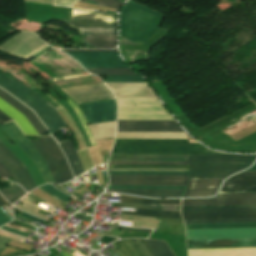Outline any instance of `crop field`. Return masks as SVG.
<instances>
[{
    "instance_id": "1",
    "label": "crop field",
    "mask_w": 256,
    "mask_h": 256,
    "mask_svg": "<svg viewBox=\"0 0 256 256\" xmlns=\"http://www.w3.org/2000/svg\"><path fill=\"white\" fill-rule=\"evenodd\" d=\"M112 154H221L188 139H116Z\"/></svg>"
},
{
    "instance_id": "27",
    "label": "crop field",
    "mask_w": 256,
    "mask_h": 256,
    "mask_svg": "<svg viewBox=\"0 0 256 256\" xmlns=\"http://www.w3.org/2000/svg\"><path fill=\"white\" fill-rule=\"evenodd\" d=\"M60 146L70 163V166L72 168L74 175L77 176V175L85 172V170L82 166V163L79 159V156H78L71 140L61 142Z\"/></svg>"
},
{
    "instance_id": "43",
    "label": "crop field",
    "mask_w": 256,
    "mask_h": 256,
    "mask_svg": "<svg viewBox=\"0 0 256 256\" xmlns=\"http://www.w3.org/2000/svg\"><path fill=\"white\" fill-rule=\"evenodd\" d=\"M108 167L188 168V166L108 165Z\"/></svg>"
},
{
    "instance_id": "16",
    "label": "crop field",
    "mask_w": 256,
    "mask_h": 256,
    "mask_svg": "<svg viewBox=\"0 0 256 256\" xmlns=\"http://www.w3.org/2000/svg\"><path fill=\"white\" fill-rule=\"evenodd\" d=\"M117 131H183L175 121H118Z\"/></svg>"
},
{
    "instance_id": "5",
    "label": "crop field",
    "mask_w": 256,
    "mask_h": 256,
    "mask_svg": "<svg viewBox=\"0 0 256 256\" xmlns=\"http://www.w3.org/2000/svg\"><path fill=\"white\" fill-rule=\"evenodd\" d=\"M31 143L46 162L56 183L60 184L73 178L63 153L51 137L44 136L32 140Z\"/></svg>"
},
{
    "instance_id": "42",
    "label": "crop field",
    "mask_w": 256,
    "mask_h": 256,
    "mask_svg": "<svg viewBox=\"0 0 256 256\" xmlns=\"http://www.w3.org/2000/svg\"><path fill=\"white\" fill-rule=\"evenodd\" d=\"M235 222H256V219L248 220H205V221H184L185 224L192 223H235Z\"/></svg>"
},
{
    "instance_id": "30",
    "label": "crop field",
    "mask_w": 256,
    "mask_h": 256,
    "mask_svg": "<svg viewBox=\"0 0 256 256\" xmlns=\"http://www.w3.org/2000/svg\"><path fill=\"white\" fill-rule=\"evenodd\" d=\"M121 213L152 216V217L181 218L179 212H169V211H159V210L137 209L136 212L122 211Z\"/></svg>"
},
{
    "instance_id": "17",
    "label": "crop field",
    "mask_w": 256,
    "mask_h": 256,
    "mask_svg": "<svg viewBox=\"0 0 256 256\" xmlns=\"http://www.w3.org/2000/svg\"><path fill=\"white\" fill-rule=\"evenodd\" d=\"M105 85L113 92L115 98H156L154 93L145 83H105Z\"/></svg>"
},
{
    "instance_id": "53",
    "label": "crop field",
    "mask_w": 256,
    "mask_h": 256,
    "mask_svg": "<svg viewBox=\"0 0 256 256\" xmlns=\"http://www.w3.org/2000/svg\"><path fill=\"white\" fill-rule=\"evenodd\" d=\"M21 216L28 217V218H30V219H32V220H34V221L38 222V223H41V224L45 225V223H44V221H43V220H40V219H37V218L31 217L32 215H31V216H29V215H27V214L23 213V214H21Z\"/></svg>"
},
{
    "instance_id": "50",
    "label": "crop field",
    "mask_w": 256,
    "mask_h": 256,
    "mask_svg": "<svg viewBox=\"0 0 256 256\" xmlns=\"http://www.w3.org/2000/svg\"><path fill=\"white\" fill-rule=\"evenodd\" d=\"M108 169H148V168H108ZM148 172H188V171H148Z\"/></svg>"
},
{
    "instance_id": "4",
    "label": "crop field",
    "mask_w": 256,
    "mask_h": 256,
    "mask_svg": "<svg viewBox=\"0 0 256 256\" xmlns=\"http://www.w3.org/2000/svg\"><path fill=\"white\" fill-rule=\"evenodd\" d=\"M162 18L163 15L129 0L121 12L120 35L139 40L155 32Z\"/></svg>"
},
{
    "instance_id": "35",
    "label": "crop field",
    "mask_w": 256,
    "mask_h": 256,
    "mask_svg": "<svg viewBox=\"0 0 256 256\" xmlns=\"http://www.w3.org/2000/svg\"><path fill=\"white\" fill-rule=\"evenodd\" d=\"M0 192L9 202H11V201L17 199L19 196L25 194V192L18 185L2 189V190H0Z\"/></svg>"
},
{
    "instance_id": "59",
    "label": "crop field",
    "mask_w": 256,
    "mask_h": 256,
    "mask_svg": "<svg viewBox=\"0 0 256 256\" xmlns=\"http://www.w3.org/2000/svg\"><path fill=\"white\" fill-rule=\"evenodd\" d=\"M17 218H19V217H17ZM19 219H21V218H19ZM21 220H23V221H25V222H26V220H24V219H21Z\"/></svg>"
},
{
    "instance_id": "26",
    "label": "crop field",
    "mask_w": 256,
    "mask_h": 256,
    "mask_svg": "<svg viewBox=\"0 0 256 256\" xmlns=\"http://www.w3.org/2000/svg\"><path fill=\"white\" fill-rule=\"evenodd\" d=\"M107 191L154 197H180L183 190L107 189Z\"/></svg>"
},
{
    "instance_id": "47",
    "label": "crop field",
    "mask_w": 256,
    "mask_h": 256,
    "mask_svg": "<svg viewBox=\"0 0 256 256\" xmlns=\"http://www.w3.org/2000/svg\"><path fill=\"white\" fill-rule=\"evenodd\" d=\"M66 0H55V5H61L64 3ZM77 0H67L64 4L65 6H71L73 3H75Z\"/></svg>"
},
{
    "instance_id": "10",
    "label": "crop field",
    "mask_w": 256,
    "mask_h": 256,
    "mask_svg": "<svg viewBox=\"0 0 256 256\" xmlns=\"http://www.w3.org/2000/svg\"><path fill=\"white\" fill-rule=\"evenodd\" d=\"M69 23L77 27H116V14L71 8Z\"/></svg>"
},
{
    "instance_id": "29",
    "label": "crop field",
    "mask_w": 256,
    "mask_h": 256,
    "mask_svg": "<svg viewBox=\"0 0 256 256\" xmlns=\"http://www.w3.org/2000/svg\"><path fill=\"white\" fill-rule=\"evenodd\" d=\"M119 203L177 205V204H180V200H150V199L136 198V197L121 195Z\"/></svg>"
},
{
    "instance_id": "45",
    "label": "crop field",
    "mask_w": 256,
    "mask_h": 256,
    "mask_svg": "<svg viewBox=\"0 0 256 256\" xmlns=\"http://www.w3.org/2000/svg\"><path fill=\"white\" fill-rule=\"evenodd\" d=\"M108 188L184 189L185 187L109 186Z\"/></svg>"
},
{
    "instance_id": "58",
    "label": "crop field",
    "mask_w": 256,
    "mask_h": 256,
    "mask_svg": "<svg viewBox=\"0 0 256 256\" xmlns=\"http://www.w3.org/2000/svg\"><path fill=\"white\" fill-rule=\"evenodd\" d=\"M249 170H256V164L253 167H251Z\"/></svg>"
},
{
    "instance_id": "7",
    "label": "crop field",
    "mask_w": 256,
    "mask_h": 256,
    "mask_svg": "<svg viewBox=\"0 0 256 256\" xmlns=\"http://www.w3.org/2000/svg\"><path fill=\"white\" fill-rule=\"evenodd\" d=\"M256 205V192L219 193L213 199H182V207Z\"/></svg>"
},
{
    "instance_id": "57",
    "label": "crop field",
    "mask_w": 256,
    "mask_h": 256,
    "mask_svg": "<svg viewBox=\"0 0 256 256\" xmlns=\"http://www.w3.org/2000/svg\"><path fill=\"white\" fill-rule=\"evenodd\" d=\"M8 204L6 200L0 195V205Z\"/></svg>"
},
{
    "instance_id": "8",
    "label": "crop field",
    "mask_w": 256,
    "mask_h": 256,
    "mask_svg": "<svg viewBox=\"0 0 256 256\" xmlns=\"http://www.w3.org/2000/svg\"><path fill=\"white\" fill-rule=\"evenodd\" d=\"M2 130L26 153V155L37 165L45 183H55L45 162L35 150L30 141L21 133L14 122L5 123L0 126Z\"/></svg>"
},
{
    "instance_id": "19",
    "label": "crop field",
    "mask_w": 256,
    "mask_h": 256,
    "mask_svg": "<svg viewBox=\"0 0 256 256\" xmlns=\"http://www.w3.org/2000/svg\"><path fill=\"white\" fill-rule=\"evenodd\" d=\"M184 220L205 219H248L256 218V211H207V212H182Z\"/></svg>"
},
{
    "instance_id": "13",
    "label": "crop field",
    "mask_w": 256,
    "mask_h": 256,
    "mask_svg": "<svg viewBox=\"0 0 256 256\" xmlns=\"http://www.w3.org/2000/svg\"><path fill=\"white\" fill-rule=\"evenodd\" d=\"M187 240L256 238L255 229L186 230Z\"/></svg>"
},
{
    "instance_id": "36",
    "label": "crop field",
    "mask_w": 256,
    "mask_h": 256,
    "mask_svg": "<svg viewBox=\"0 0 256 256\" xmlns=\"http://www.w3.org/2000/svg\"><path fill=\"white\" fill-rule=\"evenodd\" d=\"M108 164L188 165V162L109 161Z\"/></svg>"
},
{
    "instance_id": "32",
    "label": "crop field",
    "mask_w": 256,
    "mask_h": 256,
    "mask_svg": "<svg viewBox=\"0 0 256 256\" xmlns=\"http://www.w3.org/2000/svg\"><path fill=\"white\" fill-rule=\"evenodd\" d=\"M186 229H207V228H251L256 223L249 224H206V225H185Z\"/></svg>"
},
{
    "instance_id": "20",
    "label": "crop field",
    "mask_w": 256,
    "mask_h": 256,
    "mask_svg": "<svg viewBox=\"0 0 256 256\" xmlns=\"http://www.w3.org/2000/svg\"><path fill=\"white\" fill-rule=\"evenodd\" d=\"M256 191V172H242L223 184L220 192Z\"/></svg>"
},
{
    "instance_id": "48",
    "label": "crop field",
    "mask_w": 256,
    "mask_h": 256,
    "mask_svg": "<svg viewBox=\"0 0 256 256\" xmlns=\"http://www.w3.org/2000/svg\"><path fill=\"white\" fill-rule=\"evenodd\" d=\"M12 239H9V238H5V237H2L0 236V250L2 248H4L9 242H11Z\"/></svg>"
},
{
    "instance_id": "44",
    "label": "crop field",
    "mask_w": 256,
    "mask_h": 256,
    "mask_svg": "<svg viewBox=\"0 0 256 256\" xmlns=\"http://www.w3.org/2000/svg\"><path fill=\"white\" fill-rule=\"evenodd\" d=\"M234 209H256V207H233V208H198V209H182L181 211H202V210H234Z\"/></svg>"
},
{
    "instance_id": "23",
    "label": "crop field",
    "mask_w": 256,
    "mask_h": 256,
    "mask_svg": "<svg viewBox=\"0 0 256 256\" xmlns=\"http://www.w3.org/2000/svg\"><path fill=\"white\" fill-rule=\"evenodd\" d=\"M109 160L188 161V155H111Z\"/></svg>"
},
{
    "instance_id": "9",
    "label": "crop field",
    "mask_w": 256,
    "mask_h": 256,
    "mask_svg": "<svg viewBox=\"0 0 256 256\" xmlns=\"http://www.w3.org/2000/svg\"><path fill=\"white\" fill-rule=\"evenodd\" d=\"M47 46L49 45L39 39L37 35L21 32L11 40L2 44L0 49L24 58H30Z\"/></svg>"
},
{
    "instance_id": "3",
    "label": "crop field",
    "mask_w": 256,
    "mask_h": 256,
    "mask_svg": "<svg viewBox=\"0 0 256 256\" xmlns=\"http://www.w3.org/2000/svg\"><path fill=\"white\" fill-rule=\"evenodd\" d=\"M0 87L33 109L51 131L52 135L58 129L66 126L56 110L15 78L0 72Z\"/></svg>"
},
{
    "instance_id": "40",
    "label": "crop field",
    "mask_w": 256,
    "mask_h": 256,
    "mask_svg": "<svg viewBox=\"0 0 256 256\" xmlns=\"http://www.w3.org/2000/svg\"><path fill=\"white\" fill-rule=\"evenodd\" d=\"M79 1L85 2L86 0H79ZM87 3L92 4L93 0H87ZM94 4L100 5V6H105V7H110V8H115V9L119 10L122 2H120L119 0H95Z\"/></svg>"
},
{
    "instance_id": "24",
    "label": "crop field",
    "mask_w": 256,
    "mask_h": 256,
    "mask_svg": "<svg viewBox=\"0 0 256 256\" xmlns=\"http://www.w3.org/2000/svg\"><path fill=\"white\" fill-rule=\"evenodd\" d=\"M188 247L249 246L256 245V239L187 241Z\"/></svg>"
},
{
    "instance_id": "18",
    "label": "crop field",
    "mask_w": 256,
    "mask_h": 256,
    "mask_svg": "<svg viewBox=\"0 0 256 256\" xmlns=\"http://www.w3.org/2000/svg\"><path fill=\"white\" fill-rule=\"evenodd\" d=\"M83 34L116 35V28H79ZM84 35L85 43L96 46L95 48H114L116 36ZM84 43V37H83ZM89 45V46H90ZM92 46V47H94Z\"/></svg>"
},
{
    "instance_id": "15",
    "label": "crop field",
    "mask_w": 256,
    "mask_h": 256,
    "mask_svg": "<svg viewBox=\"0 0 256 256\" xmlns=\"http://www.w3.org/2000/svg\"><path fill=\"white\" fill-rule=\"evenodd\" d=\"M81 105L89 124L116 120L113 100Z\"/></svg>"
},
{
    "instance_id": "25",
    "label": "crop field",
    "mask_w": 256,
    "mask_h": 256,
    "mask_svg": "<svg viewBox=\"0 0 256 256\" xmlns=\"http://www.w3.org/2000/svg\"><path fill=\"white\" fill-rule=\"evenodd\" d=\"M116 138H187L185 132H117Z\"/></svg>"
},
{
    "instance_id": "2",
    "label": "crop field",
    "mask_w": 256,
    "mask_h": 256,
    "mask_svg": "<svg viewBox=\"0 0 256 256\" xmlns=\"http://www.w3.org/2000/svg\"><path fill=\"white\" fill-rule=\"evenodd\" d=\"M256 155H189V179L225 178L252 164Z\"/></svg>"
},
{
    "instance_id": "34",
    "label": "crop field",
    "mask_w": 256,
    "mask_h": 256,
    "mask_svg": "<svg viewBox=\"0 0 256 256\" xmlns=\"http://www.w3.org/2000/svg\"><path fill=\"white\" fill-rule=\"evenodd\" d=\"M94 74L137 75L130 69L86 68Z\"/></svg>"
},
{
    "instance_id": "49",
    "label": "crop field",
    "mask_w": 256,
    "mask_h": 256,
    "mask_svg": "<svg viewBox=\"0 0 256 256\" xmlns=\"http://www.w3.org/2000/svg\"><path fill=\"white\" fill-rule=\"evenodd\" d=\"M28 2L42 3L52 5L53 0H25Z\"/></svg>"
},
{
    "instance_id": "6",
    "label": "crop field",
    "mask_w": 256,
    "mask_h": 256,
    "mask_svg": "<svg viewBox=\"0 0 256 256\" xmlns=\"http://www.w3.org/2000/svg\"><path fill=\"white\" fill-rule=\"evenodd\" d=\"M108 174L188 175V173L108 172ZM109 175L110 185L186 186L189 176Z\"/></svg>"
},
{
    "instance_id": "28",
    "label": "crop field",
    "mask_w": 256,
    "mask_h": 256,
    "mask_svg": "<svg viewBox=\"0 0 256 256\" xmlns=\"http://www.w3.org/2000/svg\"><path fill=\"white\" fill-rule=\"evenodd\" d=\"M94 140L111 138L115 135L116 121L89 125Z\"/></svg>"
},
{
    "instance_id": "51",
    "label": "crop field",
    "mask_w": 256,
    "mask_h": 256,
    "mask_svg": "<svg viewBox=\"0 0 256 256\" xmlns=\"http://www.w3.org/2000/svg\"><path fill=\"white\" fill-rule=\"evenodd\" d=\"M0 228H3V229H5V230H7V231H9V232H13V233H16V234H19V235L25 236V237L27 236V234H26V233H24V232H20V231L12 230V229H9V228L4 227V226H2V227H0Z\"/></svg>"
},
{
    "instance_id": "12",
    "label": "crop field",
    "mask_w": 256,
    "mask_h": 256,
    "mask_svg": "<svg viewBox=\"0 0 256 256\" xmlns=\"http://www.w3.org/2000/svg\"><path fill=\"white\" fill-rule=\"evenodd\" d=\"M0 162L6 166L27 191L35 188V184L27 170V168L16 158V156L0 141Z\"/></svg>"
},
{
    "instance_id": "56",
    "label": "crop field",
    "mask_w": 256,
    "mask_h": 256,
    "mask_svg": "<svg viewBox=\"0 0 256 256\" xmlns=\"http://www.w3.org/2000/svg\"><path fill=\"white\" fill-rule=\"evenodd\" d=\"M63 51H116V50H63Z\"/></svg>"
},
{
    "instance_id": "33",
    "label": "crop field",
    "mask_w": 256,
    "mask_h": 256,
    "mask_svg": "<svg viewBox=\"0 0 256 256\" xmlns=\"http://www.w3.org/2000/svg\"><path fill=\"white\" fill-rule=\"evenodd\" d=\"M147 242V244L149 245V247L152 249V251L154 252V254L156 256H174V254L171 252V250L168 248V246L165 244V242L163 241H154V240H145ZM159 248L156 246V244Z\"/></svg>"
},
{
    "instance_id": "41",
    "label": "crop field",
    "mask_w": 256,
    "mask_h": 256,
    "mask_svg": "<svg viewBox=\"0 0 256 256\" xmlns=\"http://www.w3.org/2000/svg\"><path fill=\"white\" fill-rule=\"evenodd\" d=\"M104 82H145L141 77L109 76Z\"/></svg>"
},
{
    "instance_id": "52",
    "label": "crop field",
    "mask_w": 256,
    "mask_h": 256,
    "mask_svg": "<svg viewBox=\"0 0 256 256\" xmlns=\"http://www.w3.org/2000/svg\"><path fill=\"white\" fill-rule=\"evenodd\" d=\"M8 120H12L9 116H7L6 114H4L2 111H0V122H4V121H8Z\"/></svg>"
},
{
    "instance_id": "55",
    "label": "crop field",
    "mask_w": 256,
    "mask_h": 256,
    "mask_svg": "<svg viewBox=\"0 0 256 256\" xmlns=\"http://www.w3.org/2000/svg\"><path fill=\"white\" fill-rule=\"evenodd\" d=\"M9 222V220H7L0 212V226Z\"/></svg>"
},
{
    "instance_id": "54",
    "label": "crop field",
    "mask_w": 256,
    "mask_h": 256,
    "mask_svg": "<svg viewBox=\"0 0 256 256\" xmlns=\"http://www.w3.org/2000/svg\"><path fill=\"white\" fill-rule=\"evenodd\" d=\"M116 240L115 238H111V237H107V236H103V238L100 240L102 242H105V243H110L112 241Z\"/></svg>"
},
{
    "instance_id": "39",
    "label": "crop field",
    "mask_w": 256,
    "mask_h": 256,
    "mask_svg": "<svg viewBox=\"0 0 256 256\" xmlns=\"http://www.w3.org/2000/svg\"><path fill=\"white\" fill-rule=\"evenodd\" d=\"M131 241L134 243L142 256H155L144 239H131Z\"/></svg>"
},
{
    "instance_id": "38",
    "label": "crop field",
    "mask_w": 256,
    "mask_h": 256,
    "mask_svg": "<svg viewBox=\"0 0 256 256\" xmlns=\"http://www.w3.org/2000/svg\"><path fill=\"white\" fill-rule=\"evenodd\" d=\"M39 188L43 189L44 191H46L47 193H49L50 195L60 199V200H63L65 202H68L70 200V196L56 190L52 185L50 184H46V185H43V186H40Z\"/></svg>"
},
{
    "instance_id": "31",
    "label": "crop field",
    "mask_w": 256,
    "mask_h": 256,
    "mask_svg": "<svg viewBox=\"0 0 256 256\" xmlns=\"http://www.w3.org/2000/svg\"><path fill=\"white\" fill-rule=\"evenodd\" d=\"M114 243L118 246L116 250L121 256H141L130 239L119 240Z\"/></svg>"
},
{
    "instance_id": "11",
    "label": "crop field",
    "mask_w": 256,
    "mask_h": 256,
    "mask_svg": "<svg viewBox=\"0 0 256 256\" xmlns=\"http://www.w3.org/2000/svg\"><path fill=\"white\" fill-rule=\"evenodd\" d=\"M84 67L128 68L116 52H66Z\"/></svg>"
},
{
    "instance_id": "46",
    "label": "crop field",
    "mask_w": 256,
    "mask_h": 256,
    "mask_svg": "<svg viewBox=\"0 0 256 256\" xmlns=\"http://www.w3.org/2000/svg\"><path fill=\"white\" fill-rule=\"evenodd\" d=\"M0 175L9 178L11 177L16 183H18L14 177L10 174L9 170L0 163Z\"/></svg>"
},
{
    "instance_id": "14",
    "label": "crop field",
    "mask_w": 256,
    "mask_h": 256,
    "mask_svg": "<svg viewBox=\"0 0 256 256\" xmlns=\"http://www.w3.org/2000/svg\"><path fill=\"white\" fill-rule=\"evenodd\" d=\"M61 90L78 103L113 98L102 83L68 87Z\"/></svg>"
},
{
    "instance_id": "22",
    "label": "crop field",
    "mask_w": 256,
    "mask_h": 256,
    "mask_svg": "<svg viewBox=\"0 0 256 256\" xmlns=\"http://www.w3.org/2000/svg\"><path fill=\"white\" fill-rule=\"evenodd\" d=\"M0 98L8 104H10L11 106H13L14 108H16L21 113H23L39 135L47 132L46 128L43 126V124L40 122V120L37 118V116L34 114L32 110H30L28 107L23 105L21 102L16 100L14 97L9 95L2 89H0Z\"/></svg>"
},
{
    "instance_id": "21",
    "label": "crop field",
    "mask_w": 256,
    "mask_h": 256,
    "mask_svg": "<svg viewBox=\"0 0 256 256\" xmlns=\"http://www.w3.org/2000/svg\"><path fill=\"white\" fill-rule=\"evenodd\" d=\"M222 179L189 180L184 197L212 196Z\"/></svg>"
},
{
    "instance_id": "37",
    "label": "crop field",
    "mask_w": 256,
    "mask_h": 256,
    "mask_svg": "<svg viewBox=\"0 0 256 256\" xmlns=\"http://www.w3.org/2000/svg\"><path fill=\"white\" fill-rule=\"evenodd\" d=\"M115 206L121 207H135V208H149V209H160V210H170L179 211L180 205L177 206H162V205H140V204H116Z\"/></svg>"
}]
</instances>
